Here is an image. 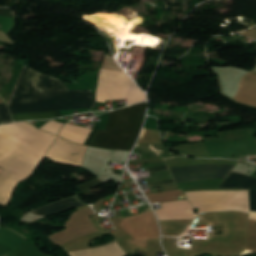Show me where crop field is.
Instances as JSON below:
<instances>
[{"label":"crop field","instance_id":"3316defc","mask_svg":"<svg viewBox=\"0 0 256 256\" xmlns=\"http://www.w3.org/2000/svg\"><path fill=\"white\" fill-rule=\"evenodd\" d=\"M173 183H174L173 180H169V181H163V182L150 183L148 185L150 188H152V187H156V186H163V185H168V184H173Z\"/></svg>","mask_w":256,"mask_h":256},{"label":"crop field","instance_id":"8a807250","mask_svg":"<svg viewBox=\"0 0 256 256\" xmlns=\"http://www.w3.org/2000/svg\"><path fill=\"white\" fill-rule=\"evenodd\" d=\"M91 91H69L60 80L23 67L8 98L11 114L91 108ZM14 122L54 119L57 111L11 115Z\"/></svg>","mask_w":256,"mask_h":256},{"label":"crop field","instance_id":"412701ff","mask_svg":"<svg viewBox=\"0 0 256 256\" xmlns=\"http://www.w3.org/2000/svg\"><path fill=\"white\" fill-rule=\"evenodd\" d=\"M219 188L245 189L248 209L251 212H256V178L231 172Z\"/></svg>","mask_w":256,"mask_h":256},{"label":"crop field","instance_id":"28ad6ade","mask_svg":"<svg viewBox=\"0 0 256 256\" xmlns=\"http://www.w3.org/2000/svg\"><path fill=\"white\" fill-rule=\"evenodd\" d=\"M148 173L168 170L166 166L146 168Z\"/></svg>","mask_w":256,"mask_h":256},{"label":"crop field","instance_id":"f4fd0767","mask_svg":"<svg viewBox=\"0 0 256 256\" xmlns=\"http://www.w3.org/2000/svg\"><path fill=\"white\" fill-rule=\"evenodd\" d=\"M70 256H125L116 242L87 250L70 252Z\"/></svg>","mask_w":256,"mask_h":256},{"label":"crop field","instance_id":"d1516ede","mask_svg":"<svg viewBox=\"0 0 256 256\" xmlns=\"http://www.w3.org/2000/svg\"><path fill=\"white\" fill-rule=\"evenodd\" d=\"M18 234V233H17ZM20 235V234H19ZM21 236V235H20Z\"/></svg>","mask_w":256,"mask_h":256},{"label":"crop field","instance_id":"ac0d7876","mask_svg":"<svg viewBox=\"0 0 256 256\" xmlns=\"http://www.w3.org/2000/svg\"><path fill=\"white\" fill-rule=\"evenodd\" d=\"M146 104L110 112L105 130L94 129L85 144L104 149L130 151L140 131Z\"/></svg>","mask_w":256,"mask_h":256},{"label":"crop field","instance_id":"e52e79f7","mask_svg":"<svg viewBox=\"0 0 256 256\" xmlns=\"http://www.w3.org/2000/svg\"><path fill=\"white\" fill-rule=\"evenodd\" d=\"M98 179V178H97ZM96 178L92 179V180H89L85 183H82L78 186H76L77 190L82 193L84 191H87V190H90L92 188H95L97 186H100L102 184H104L103 182L97 180Z\"/></svg>","mask_w":256,"mask_h":256},{"label":"crop field","instance_id":"34b2d1b8","mask_svg":"<svg viewBox=\"0 0 256 256\" xmlns=\"http://www.w3.org/2000/svg\"><path fill=\"white\" fill-rule=\"evenodd\" d=\"M234 165H200L170 169L175 183L224 178Z\"/></svg>","mask_w":256,"mask_h":256},{"label":"crop field","instance_id":"d8731c3e","mask_svg":"<svg viewBox=\"0 0 256 256\" xmlns=\"http://www.w3.org/2000/svg\"><path fill=\"white\" fill-rule=\"evenodd\" d=\"M10 122H13V121L4 103L0 106V124L10 123Z\"/></svg>","mask_w":256,"mask_h":256},{"label":"crop field","instance_id":"5a996713","mask_svg":"<svg viewBox=\"0 0 256 256\" xmlns=\"http://www.w3.org/2000/svg\"><path fill=\"white\" fill-rule=\"evenodd\" d=\"M0 15H4V16H9V17L15 18L12 9L0 8Z\"/></svg>","mask_w":256,"mask_h":256},{"label":"crop field","instance_id":"dd49c442","mask_svg":"<svg viewBox=\"0 0 256 256\" xmlns=\"http://www.w3.org/2000/svg\"><path fill=\"white\" fill-rule=\"evenodd\" d=\"M83 204L76 197H73V198L62 200L50 206L33 210L31 212L37 215H44V214L55 213V212H59V211H63L71 208L81 207V206H84Z\"/></svg>","mask_w":256,"mask_h":256}]
</instances>
